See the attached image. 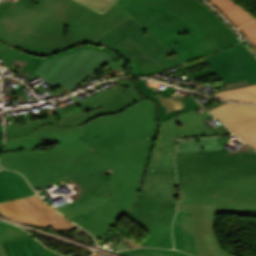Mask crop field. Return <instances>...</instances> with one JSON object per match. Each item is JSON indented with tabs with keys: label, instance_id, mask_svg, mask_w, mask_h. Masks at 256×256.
<instances>
[{
	"label": "crop field",
	"instance_id": "obj_1",
	"mask_svg": "<svg viewBox=\"0 0 256 256\" xmlns=\"http://www.w3.org/2000/svg\"><path fill=\"white\" fill-rule=\"evenodd\" d=\"M83 138L111 170L115 197L129 209L135 204L152 145L158 134L156 105L147 99L117 115L84 124Z\"/></svg>",
	"mask_w": 256,
	"mask_h": 256
},
{
	"label": "crop field",
	"instance_id": "obj_2",
	"mask_svg": "<svg viewBox=\"0 0 256 256\" xmlns=\"http://www.w3.org/2000/svg\"><path fill=\"white\" fill-rule=\"evenodd\" d=\"M85 136L82 125L74 128L41 127L30 135L6 140L0 166L21 172L33 188L48 184L103 162L81 139ZM41 139L61 147L33 151Z\"/></svg>",
	"mask_w": 256,
	"mask_h": 256
},
{
	"label": "crop field",
	"instance_id": "obj_3",
	"mask_svg": "<svg viewBox=\"0 0 256 256\" xmlns=\"http://www.w3.org/2000/svg\"><path fill=\"white\" fill-rule=\"evenodd\" d=\"M178 204L214 203V194L256 191V151L244 145L221 151L176 154Z\"/></svg>",
	"mask_w": 256,
	"mask_h": 256
},
{
	"label": "crop field",
	"instance_id": "obj_4",
	"mask_svg": "<svg viewBox=\"0 0 256 256\" xmlns=\"http://www.w3.org/2000/svg\"><path fill=\"white\" fill-rule=\"evenodd\" d=\"M57 1L62 4L14 46L34 54L50 55L89 43L131 17L116 3L100 14L74 0Z\"/></svg>",
	"mask_w": 256,
	"mask_h": 256
},
{
	"label": "crop field",
	"instance_id": "obj_5",
	"mask_svg": "<svg viewBox=\"0 0 256 256\" xmlns=\"http://www.w3.org/2000/svg\"><path fill=\"white\" fill-rule=\"evenodd\" d=\"M116 3L184 63L214 53L189 25L154 1L118 0Z\"/></svg>",
	"mask_w": 256,
	"mask_h": 256
},
{
	"label": "crop field",
	"instance_id": "obj_6",
	"mask_svg": "<svg viewBox=\"0 0 256 256\" xmlns=\"http://www.w3.org/2000/svg\"><path fill=\"white\" fill-rule=\"evenodd\" d=\"M118 54L99 46L81 45L51 57L33 56L23 70L40 76L51 88L78 85Z\"/></svg>",
	"mask_w": 256,
	"mask_h": 256
},
{
	"label": "crop field",
	"instance_id": "obj_7",
	"mask_svg": "<svg viewBox=\"0 0 256 256\" xmlns=\"http://www.w3.org/2000/svg\"><path fill=\"white\" fill-rule=\"evenodd\" d=\"M119 87L111 88L77 105L85 112L81 115L59 120L56 114L32 121L33 124L18 128L16 123L5 125V138L29 134L40 126L52 124L58 127H73L89 122L90 119L107 114H116L135 104L144 97L134 88L131 80L114 81Z\"/></svg>",
	"mask_w": 256,
	"mask_h": 256
},
{
	"label": "crop field",
	"instance_id": "obj_8",
	"mask_svg": "<svg viewBox=\"0 0 256 256\" xmlns=\"http://www.w3.org/2000/svg\"><path fill=\"white\" fill-rule=\"evenodd\" d=\"M211 114L207 111L199 114L193 110L160 123V139L157 140L148 167L175 170L174 153L176 139L230 135L224 127L212 131L202 121Z\"/></svg>",
	"mask_w": 256,
	"mask_h": 256
},
{
	"label": "crop field",
	"instance_id": "obj_9",
	"mask_svg": "<svg viewBox=\"0 0 256 256\" xmlns=\"http://www.w3.org/2000/svg\"><path fill=\"white\" fill-rule=\"evenodd\" d=\"M154 1L188 23L214 52L240 42L221 19L199 0Z\"/></svg>",
	"mask_w": 256,
	"mask_h": 256
},
{
	"label": "crop field",
	"instance_id": "obj_10",
	"mask_svg": "<svg viewBox=\"0 0 256 256\" xmlns=\"http://www.w3.org/2000/svg\"><path fill=\"white\" fill-rule=\"evenodd\" d=\"M53 184H75L79 188L70 197L73 202L55 208L69 219L114 196L110 170L104 163L64 177L46 187ZM108 193H112V196L106 198Z\"/></svg>",
	"mask_w": 256,
	"mask_h": 256
},
{
	"label": "crop field",
	"instance_id": "obj_11",
	"mask_svg": "<svg viewBox=\"0 0 256 256\" xmlns=\"http://www.w3.org/2000/svg\"><path fill=\"white\" fill-rule=\"evenodd\" d=\"M175 212L176 203L139 199L136 207L125 217L150 234L141 244L163 248L172 241Z\"/></svg>",
	"mask_w": 256,
	"mask_h": 256
},
{
	"label": "crop field",
	"instance_id": "obj_12",
	"mask_svg": "<svg viewBox=\"0 0 256 256\" xmlns=\"http://www.w3.org/2000/svg\"><path fill=\"white\" fill-rule=\"evenodd\" d=\"M128 38L164 70L183 64L181 60L164 47L132 17L115 26L91 42V44H105V46L112 49Z\"/></svg>",
	"mask_w": 256,
	"mask_h": 256
},
{
	"label": "crop field",
	"instance_id": "obj_13",
	"mask_svg": "<svg viewBox=\"0 0 256 256\" xmlns=\"http://www.w3.org/2000/svg\"><path fill=\"white\" fill-rule=\"evenodd\" d=\"M60 4L55 0H17L0 17V40L16 44Z\"/></svg>",
	"mask_w": 256,
	"mask_h": 256
},
{
	"label": "crop field",
	"instance_id": "obj_14",
	"mask_svg": "<svg viewBox=\"0 0 256 256\" xmlns=\"http://www.w3.org/2000/svg\"><path fill=\"white\" fill-rule=\"evenodd\" d=\"M205 59L220 78L191 84L206 83L218 80H221L227 84L244 79H247L250 85L256 84V57L243 43L219 51L206 57ZM185 85L186 84L179 86Z\"/></svg>",
	"mask_w": 256,
	"mask_h": 256
},
{
	"label": "crop field",
	"instance_id": "obj_15",
	"mask_svg": "<svg viewBox=\"0 0 256 256\" xmlns=\"http://www.w3.org/2000/svg\"><path fill=\"white\" fill-rule=\"evenodd\" d=\"M178 211L192 212L197 256H233L219 245L214 204L178 205Z\"/></svg>",
	"mask_w": 256,
	"mask_h": 256
},
{
	"label": "crop field",
	"instance_id": "obj_16",
	"mask_svg": "<svg viewBox=\"0 0 256 256\" xmlns=\"http://www.w3.org/2000/svg\"><path fill=\"white\" fill-rule=\"evenodd\" d=\"M129 209L115 197L70 220L89 231L98 242Z\"/></svg>",
	"mask_w": 256,
	"mask_h": 256
},
{
	"label": "crop field",
	"instance_id": "obj_17",
	"mask_svg": "<svg viewBox=\"0 0 256 256\" xmlns=\"http://www.w3.org/2000/svg\"><path fill=\"white\" fill-rule=\"evenodd\" d=\"M209 111L238 137L256 129V106L227 102Z\"/></svg>",
	"mask_w": 256,
	"mask_h": 256
},
{
	"label": "crop field",
	"instance_id": "obj_18",
	"mask_svg": "<svg viewBox=\"0 0 256 256\" xmlns=\"http://www.w3.org/2000/svg\"><path fill=\"white\" fill-rule=\"evenodd\" d=\"M147 169L143 188L139 198L176 202L179 197L176 172Z\"/></svg>",
	"mask_w": 256,
	"mask_h": 256
},
{
	"label": "crop field",
	"instance_id": "obj_19",
	"mask_svg": "<svg viewBox=\"0 0 256 256\" xmlns=\"http://www.w3.org/2000/svg\"><path fill=\"white\" fill-rule=\"evenodd\" d=\"M138 89L142 94L154 100L158 107V122L165 121L169 118L182 114L186 111L199 107L191 96L185 98L182 102L170 98L175 89L166 88L162 94L151 90L152 87L147 86L145 81L137 80L134 81Z\"/></svg>",
	"mask_w": 256,
	"mask_h": 256
},
{
	"label": "crop field",
	"instance_id": "obj_20",
	"mask_svg": "<svg viewBox=\"0 0 256 256\" xmlns=\"http://www.w3.org/2000/svg\"><path fill=\"white\" fill-rule=\"evenodd\" d=\"M19 206L46 227L72 230L77 226L55 209L46 204L38 195L15 200Z\"/></svg>",
	"mask_w": 256,
	"mask_h": 256
},
{
	"label": "crop field",
	"instance_id": "obj_21",
	"mask_svg": "<svg viewBox=\"0 0 256 256\" xmlns=\"http://www.w3.org/2000/svg\"><path fill=\"white\" fill-rule=\"evenodd\" d=\"M256 192L215 195L216 215L230 213L256 218Z\"/></svg>",
	"mask_w": 256,
	"mask_h": 256
},
{
	"label": "crop field",
	"instance_id": "obj_22",
	"mask_svg": "<svg viewBox=\"0 0 256 256\" xmlns=\"http://www.w3.org/2000/svg\"><path fill=\"white\" fill-rule=\"evenodd\" d=\"M113 50L129 62L131 76H147L163 70L129 39L119 44Z\"/></svg>",
	"mask_w": 256,
	"mask_h": 256
},
{
	"label": "crop field",
	"instance_id": "obj_23",
	"mask_svg": "<svg viewBox=\"0 0 256 256\" xmlns=\"http://www.w3.org/2000/svg\"><path fill=\"white\" fill-rule=\"evenodd\" d=\"M34 193L23 176L0 168V202Z\"/></svg>",
	"mask_w": 256,
	"mask_h": 256
},
{
	"label": "crop field",
	"instance_id": "obj_24",
	"mask_svg": "<svg viewBox=\"0 0 256 256\" xmlns=\"http://www.w3.org/2000/svg\"><path fill=\"white\" fill-rule=\"evenodd\" d=\"M176 250L196 256L191 213L178 212L173 226Z\"/></svg>",
	"mask_w": 256,
	"mask_h": 256
},
{
	"label": "crop field",
	"instance_id": "obj_25",
	"mask_svg": "<svg viewBox=\"0 0 256 256\" xmlns=\"http://www.w3.org/2000/svg\"><path fill=\"white\" fill-rule=\"evenodd\" d=\"M2 244L7 256H59L34 238L13 240Z\"/></svg>",
	"mask_w": 256,
	"mask_h": 256
},
{
	"label": "crop field",
	"instance_id": "obj_26",
	"mask_svg": "<svg viewBox=\"0 0 256 256\" xmlns=\"http://www.w3.org/2000/svg\"><path fill=\"white\" fill-rule=\"evenodd\" d=\"M214 4L236 27H240L255 18L240 8L232 0H209Z\"/></svg>",
	"mask_w": 256,
	"mask_h": 256
},
{
	"label": "crop field",
	"instance_id": "obj_27",
	"mask_svg": "<svg viewBox=\"0 0 256 256\" xmlns=\"http://www.w3.org/2000/svg\"><path fill=\"white\" fill-rule=\"evenodd\" d=\"M220 150L217 137L187 139L178 141V152H198Z\"/></svg>",
	"mask_w": 256,
	"mask_h": 256
},
{
	"label": "crop field",
	"instance_id": "obj_28",
	"mask_svg": "<svg viewBox=\"0 0 256 256\" xmlns=\"http://www.w3.org/2000/svg\"><path fill=\"white\" fill-rule=\"evenodd\" d=\"M0 214L21 223L43 226L13 201L1 203Z\"/></svg>",
	"mask_w": 256,
	"mask_h": 256
},
{
	"label": "crop field",
	"instance_id": "obj_29",
	"mask_svg": "<svg viewBox=\"0 0 256 256\" xmlns=\"http://www.w3.org/2000/svg\"><path fill=\"white\" fill-rule=\"evenodd\" d=\"M212 96L234 101L256 103V85L246 88L233 89L225 92H219L215 93Z\"/></svg>",
	"mask_w": 256,
	"mask_h": 256
},
{
	"label": "crop field",
	"instance_id": "obj_30",
	"mask_svg": "<svg viewBox=\"0 0 256 256\" xmlns=\"http://www.w3.org/2000/svg\"><path fill=\"white\" fill-rule=\"evenodd\" d=\"M28 232L17 226L0 221V256H6L1 242L28 237Z\"/></svg>",
	"mask_w": 256,
	"mask_h": 256
},
{
	"label": "crop field",
	"instance_id": "obj_31",
	"mask_svg": "<svg viewBox=\"0 0 256 256\" xmlns=\"http://www.w3.org/2000/svg\"><path fill=\"white\" fill-rule=\"evenodd\" d=\"M124 256H191L176 250H164L156 248H141L117 252Z\"/></svg>",
	"mask_w": 256,
	"mask_h": 256
},
{
	"label": "crop field",
	"instance_id": "obj_32",
	"mask_svg": "<svg viewBox=\"0 0 256 256\" xmlns=\"http://www.w3.org/2000/svg\"><path fill=\"white\" fill-rule=\"evenodd\" d=\"M31 57V55L24 52L19 53V50L15 48L12 49L0 42V59L2 61L0 65L9 67L16 58L28 62Z\"/></svg>",
	"mask_w": 256,
	"mask_h": 256
},
{
	"label": "crop field",
	"instance_id": "obj_33",
	"mask_svg": "<svg viewBox=\"0 0 256 256\" xmlns=\"http://www.w3.org/2000/svg\"><path fill=\"white\" fill-rule=\"evenodd\" d=\"M88 6L94 8L99 12H103L107 7H109L115 0H79Z\"/></svg>",
	"mask_w": 256,
	"mask_h": 256
},
{
	"label": "crop field",
	"instance_id": "obj_34",
	"mask_svg": "<svg viewBox=\"0 0 256 256\" xmlns=\"http://www.w3.org/2000/svg\"><path fill=\"white\" fill-rule=\"evenodd\" d=\"M239 30L256 46V21L239 28Z\"/></svg>",
	"mask_w": 256,
	"mask_h": 256
},
{
	"label": "crop field",
	"instance_id": "obj_35",
	"mask_svg": "<svg viewBox=\"0 0 256 256\" xmlns=\"http://www.w3.org/2000/svg\"><path fill=\"white\" fill-rule=\"evenodd\" d=\"M240 139L256 149V130L240 137Z\"/></svg>",
	"mask_w": 256,
	"mask_h": 256
},
{
	"label": "crop field",
	"instance_id": "obj_36",
	"mask_svg": "<svg viewBox=\"0 0 256 256\" xmlns=\"http://www.w3.org/2000/svg\"><path fill=\"white\" fill-rule=\"evenodd\" d=\"M203 63H206L204 58H202V59H200L198 61L191 62V63L186 64V65L178 66V67L175 68L176 70H174V71L175 72H179V71H182V70H185V69H188V68H191V67L203 64ZM170 70L172 71V69H170Z\"/></svg>",
	"mask_w": 256,
	"mask_h": 256
},
{
	"label": "crop field",
	"instance_id": "obj_37",
	"mask_svg": "<svg viewBox=\"0 0 256 256\" xmlns=\"http://www.w3.org/2000/svg\"><path fill=\"white\" fill-rule=\"evenodd\" d=\"M211 74H215V72L213 71L212 68L206 69V70H203L200 72L192 73L190 75L193 79H195V78H199V77H203V76H207V75H211Z\"/></svg>",
	"mask_w": 256,
	"mask_h": 256
},
{
	"label": "crop field",
	"instance_id": "obj_38",
	"mask_svg": "<svg viewBox=\"0 0 256 256\" xmlns=\"http://www.w3.org/2000/svg\"><path fill=\"white\" fill-rule=\"evenodd\" d=\"M13 4V2L7 1L4 2L2 1L0 3V16Z\"/></svg>",
	"mask_w": 256,
	"mask_h": 256
},
{
	"label": "crop field",
	"instance_id": "obj_39",
	"mask_svg": "<svg viewBox=\"0 0 256 256\" xmlns=\"http://www.w3.org/2000/svg\"><path fill=\"white\" fill-rule=\"evenodd\" d=\"M218 139H219V143H220V148L222 149V148H223L222 145H224L225 143H227V142H228V139H227V137H218Z\"/></svg>",
	"mask_w": 256,
	"mask_h": 256
},
{
	"label": "crop field",
	"instance_id": "obj_40",
	"mask_svg": "<svg viewBox=\"0 0 256 256\" xmlns=\"http://www.w3.org/2000/svg\"><path fill=\"white\" fill-rule=\"evenodd\" d=\"M0 139H3V136H2V125H0Z\"/></svg>",
	"mask_w": 256,
	"mask_h": 256
},
{
	"label": "crop field",
	"instance_id": "obj_41",
	"mask_svg": "<svg viewBox=\"0 0 256 256\" xmlns=\"http://www.w3.org/2000/svg\"><path fill=\"white\" fill-rule=\"evenodd\" d=\"M3 144V140H0V148L2 147Z\"/></svg>",
	"mask_w": 256,
	"mask_h": 256
},
{
	"label": "crop field",
	"instance_id": "obj_42",
	"mask_svg": "<svg viewBox=\"0 0 256 256\" xmlns=\"http://www.w3.org/2000/svg\"><path fill=\"white\" fill-rule=\"evenodd\" d=\"M93 256H101V255H98V254H93Z\"/></svg>",
	"mask_w": 256,
	"mask_h": 256
},
{
	"label": "crop field",
	"instance_id": "obj_43",
	"mask_svg": "<svg viewBox=\"0 0 256 256\" xmlns=\"http://www.w3.org/2000/svg\"><path fill=\"white\" fill-rule=\"evenodd\" d=\"M74 256H80V255H74Z\"/></svg>",
	"mask_w": 256,
	"mask_h": 256
}]
</instances>
